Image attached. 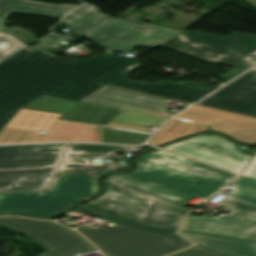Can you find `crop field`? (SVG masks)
Listing matches in <instances>:
<instances>
[{"label": "crop field", "mask_w": 256, "mask_h": 256, "mask_svg": "<svg viewBox=\"0 0 256 256\" xmlns=\"http://www.w3.org/2000/svg\"><path fill=\"white\" fill-rule=\"evenodd\" d=\"M236 146V143L226 138L202 134L162 148L240 174L252 157L238 152Z\"/></svg>", "instance_id": "11"}, {"label": "crop field", "mask_w": 256, "mask_h": 256, "mask_svg": "<svg viewBox=\"0 0 256 256\" xmlns=\"http://www.w3.org/2000/svg\"><path fill=\"white\" fill-rule=\"evenodd\" d=\"M175 119L205 126L177 125L174 127L175 125L166 124L149 143L157 145L197 131L209 130V126H212V130L222 131L243 143H256V118L194 105Z\"/></svg>", "instance_id": "8"}, {"label": "crop field", "mask_w": 256, "mask_h": 256, "mask_svg": "<svg viewBox=\"0 0 256 256\" xmlns=\"http://www.w3.org/2000/svg\"><path fill=\"white\" fill-rule=\"evenodd\" d=\"M124 168L116 163H104L103 160L102 163H92V160L64 159L57 173L101 174Z\"/></svg>", "instance_id": "18"}, {"label": "crop field", "mask_w": 256, "mask_h": 256, "mask_svg": "<svg viewBox=\"0 0 256 256\" xmlns=\"http://www.w3.org/2000/svg\"><path fill=\"white\" fill-rule=\"evenodd\" d=\"M92 5L85 3L84 6L80 7L79 9L75 10L74 12H72L70 15H68L67 17H65L64 19H62L63 21H67L70 22L73 19L77 18L78 16H80L81 14H83L84 12H86L87 10L91 9Z\"/></svg>", "instance_id": "25"}, {"label": "crop field", "mask_w": 256, "mask_h": 256, "mask_svg": "<svg viewBox=\"0 0 256 256\" xmlns=\"http://www.w3.org/2000/svg\"><path fill=\"white\" fill-rule=\"evenodd\" d=\"M198 244L236 256H256V242L181 232Z\"/></svg>", "instance_id": "16"}, {"label": "crop field", "mask_w": 256, "mask_h": 256, "mask_svg": "<svg viewBox=\"0 0 256 256\" xmlns=\"http://www.w3.org/2000/svg\"><path fill=\"white\" fill-rule=\"evenodd\" d=\"M249 2H251L252 4L256 5V0H248Z\"/></svg>", "instance_id": "28"}, {"label": "crop field", "mask_w": 256, "mask_h": 256, "mask_svg": "<svg viewBox=\"0 0 256 256\" xmlns=\"http://www.w3.org/2000/svg\"><path fill=\"white\" fill-rule=\"evenodd\" d=\"M234 177L157 150L141 157L134 172L107 178V192L90 204L143 223L178 229L191 209L186 208L188 201L195 197L205 199ZM195 182L202 186L195 185Z\"/></svg>", "instance_id": "2"}, {"label": "crop field", "mask_w": 256, "mask_h": 256, "mask_svg": "<svg viewBox=\"0 0 256 256\" xmlns=\"http://www.w3.org/2000/svg\"><path fill=\"white\" fill-rule=\"evenodd\" d=\"M107 256H163L190 244L123 225L109 228H76Z\"/></svg>", "instance_id": "7"}, {"label": "crop field", "mask_w": 256, "mask_h": 256, "mask_svg": "<svg viewBox=\"0 0 256 256\" xmlns=\"http://www.w3.org/2000/svg\"><path fill=\"white\" fill-rule=\"evenodd\" d=\"M145 146L143 147H134L133 149H131L129 152L136 154L137 152H139L141 149H143Z\"/></svg>", "instance_id": "27"}, {"label": "crop field", "mask_w": 256, "mask_h": 256, "mask_svg": "<svg viewBox=\"0 0 256 256\" xmlns=\"http://www.w3.org/2000/svg\"><path fill=\"white\" fill-rule=\"evenodd\" d=\"M3 45H5L7 47L5 49L1 48ZM22 46H24V45H22L15 39L11 38L4 32H2V31L0 32V60L7 57L8 55L13 53L17 49L21 48Z\"/></svg>", "instance_id": "22"}, {"label": "crop field", "mask_w": 256, "mask_h": 256, "mask_svg": "<svg viewBox=\"0 0 256 256\" xmlns=\"http://www.w3.org/2000/svg\"><path fill=\"white\" fill-rule=\"evenodd\" d=\"M78 6L46 4L30 0H0V31L11 13L62 18Z\"/></svg>", "instance_id": "15"}, {"label": "crop field", "mask_w": 256, "mask_h": 256, "mask_svg": "<svg viewBox=\"0 0 256 256\" xmlns=\"http://www.w3.org/2000/svg\"><path fill=\"white\" fill-rule=\"evenodd\" d=\"M170 256H232L218 251L202 248L199 246L175 253Z\"/></svg>", "instance_id": "23"}, {"label": "crop field", "mask_w": 256, "mask_h": 256, "mask_svg": "<svg viewBox=\"0 0 256 256\" xmlns=\"http://www.w3.org/2000/svg\"><path fill=\"white\" fill-rule=\"evenodd\" d=\"M163 46L205 62L236 66L222 75V78H233L256 64V58L247 56L256 50V36L251 35L232 33L229 37H223L202 32H184Z\"/></svg>", "instance_id": "6"}, {"label": "crop field", "mask_w": 256, "mask_h": 256, "mask_svg": "<svg viewBox=\"0 0 256 256\" xmlns=\"http://www.w3.org/2000/svg\"><path fill=\"white\" fill-rule=\"evenodd\" d=\"M137 66V61L113 52L65 61L26 47L0 64V130L43 94L78 102L118 71Z\"/></svg>", "instance_id": "3"}, {"label": "crop field", "mask_w": 256, "mask_h": 256, "mask_svg": "<svg viewBox=\"0 0 256 256\" xmlns=\"http://www.w3.org/2000/svg\"><path fill=\"white\" fill-rule=\"evenodd\" d=\"M216 194H218V193H216ZM216 194H214L213 196H215ZM213 196H212V197H213ZM212 197H210L209 199H211ZM209 199H208V200H209Z\"/></svg>", "instance_id": "29"}, {"label": "crop field", "mask_w": 256, "mask_h": 256, "mask_svg": "<svg viewBox=\"0 0 256 256\" xmlns=\"http://www.w3.org/2000/svg\"><path fill=\"white\" fill-rule=\"evenodd\" d=\"M180 31L115 18L87 38L111 50L128 52L136 46L156 47Z\"/></svg>", "instance_id": "10"}, {"label": "crop field", "mask_w": 256, "mask_h": 256, "mask_svg": "<svg viewBox=\"0 0 256 256\" xmlns=\"http://www.w3.org/2000/svg\"><path fill=\"white\" fill-rule=\"evenodd\" d=\"M59 36H60V35H57V36H48V37H46L45 39H43V40L41 41V43L35 44L32 48L37 49V50H39V51H41V52H44V53H46V54H49V55L54 56L53 54L47 52V50L54 46V45H51L50 43H51L52 41H54L56 38H58Z\"/></svg>", "instance_id": "24"}, {"label": "crop field", "mask_w": 256, "mask_h": 256, "mask_svg": "<svg viewBox=\"0 0 256 256\" xmlns=\"http://www.w3.org/2000/svg\"><path fill=\"white\" fill-rule=\"evenodd\" d=\"M243 176H246V177L256 180V158L251 163V165L248 167V169L244 172Z\"/></svg>", "instance_id": "26"}, {"label": "crop field", "mask_w": 256, "mask_h": 256, "mask_svg": "<svg viewBox=\"0 0 256 256\" xmlns=\"http://www.w3.org/2000/svg\"><path fill=\"white\" fill-rule=\"evenodd\" d=\"M98 176L61 174L49 192L0 194V212L55 215L84 197L97 194Z\"/></svg>", "instance_id": "5"}, {"label": "crop field", "mask_w": 256, "mask_h": 256, "mask_svg": "<svg viewBox=\"0 0 256 256\" xmlns=\"http://www.w3.org/2000/svg\"><path fill=\"white\" fill-rule=\"evenodd\" d=\"M131 147L69 144L64 157L108 159L113 152Z\"/></svg>", "instance_id": "19"}, {"label": "crop field", "mask_w": 256, "mask_h": 256, "mask_svg": "<svg viewBox=\"0 0 256 256\" xmlns=\"http://www.w3.org/2000/svg\"><path fill=\"white\" fill-rule=\"evenodd\" d=\"M231 184L239 187L234 193H219L256 205V181L241 176Z\"/></svg>", "instance_id": "21"}, {"label": "crop field", "mask_w": 256, "mask_h": 256, "mask_svg": "<svg viewBox=\"0 0 256 256\" xmlns=\"http://www.w3.org/2000/svg\"><path fill=\"white\" fill-rule=\"evenodd\" d=\"M75 212L84 213V214H87V215H91V216H94V217L106 219V220H109V221H112V222L120 223V224H123V225H127V226H130V227L141 229V230H144V231L160 234V235H163V236H166V237H169V238H173V239H176V240H180V241H183V242L191 243V242L187 241L186 239L178 236L176 231L169 230V229L154 228V227L142 224V223H138V222H135V221L119 218V217L115 216L112 212L95 209L91 206L83 205V206L79 207L78 209H76Z\"/></svg>", "instance_id": "17"}, {"label": "crop field", "mask_w": 256, "mask_h": 256, "mask_svg": "<svg viewBox=\"0 0 256 256\" xmlns=\"http://www.w3.org/2000/svg\"><path fill=\"white\" fill-rule=\"evenodd\" d=\"M98 9L99 8L96 7L92 8L77 19L70 22L68 27L82 35L87 36L114 18L98 12Z\"/></svg>", "instance_id": "20"}, {"label": "crop field", "mask_w": 256, "mask_h": 256, "mask_svg": "<svg viewBox=\"0 0 256 256\" xmlns=\"http://www.w3.org/2000/svg\"><path fill=\"white\" fill-rule=\"evenodd\" d=\"M65 146H0V193L48 191Z\"/></svg>", "instance_id": "4"}, {"label": "crop field", "mask_w": 256, "mask_h": 256, "mask_svg": "<svg viewBox=\"0 0 256 256\" xmlns=\"http://www.w3.org/2000/svg\"><path fill=\"white\" fill-rule=\"evenodd\" d=\"M130 70L129 68L124 69L103 84L184 102H195L218 88V86L200 83L171 84L158 82L151 85L143 82H131L124 78Z\"/></svg>", "instance_id": "14"}, {"label": "crop field", "mask_w": 256, "mask_h": 256, "mask_svg": "<svg viewBox=\"0 0 256 256\" xmlns=\"http://www.w3.org/2000/svg\"><path fill=\"white\" fill-rule=\"evenodd\" d=\"M219 202L232 211L230 215L189 216L181 230L256 240V206L227 196Z\"/></svg>", "instance_id": "12"}, {"label": "crop field", "mask_w": 256, "mask_h": 256, "mask_svg": "<svg viewBox=\"0 0 256 256\" xmlns=\"http://www.w3.org/2000/svg\"><path fill=\"white\" fill-rule=\"evenodd\" d=\"M197 105L256 117V70L252 69Z\"/></svg>", "instance_id": "13"}, {"label": "crop field", "mask_w": 256, "mask_h": 256, "mask_svg": "<svg viewBox=\"0 0 256 256\" xmlns=\"http://www.w3.org/2000/svg\"><path fill=\"white\" fill-rule=\"evenodd\" d=\"M0 225L18 230L44 247L47 251L40 256H75L96 249L89 241L74 230L50 221L18 217H2Z\"/></svg>", "instance_id": "9"}, {"label": "crop field", "mask_w": 256, "mask_h": 256, "mask_svg": "<svg viewBox=\"0 0 256 256\" xmlns=\"http://www.w3.org/2000/svg\"><path fill=\"white\" fill-rule=\"evenodd\" d=\"M65 115L20 109L0 131V144L77 141L140 144L173 114L165 99L105 86ZM48 130L47 134L39 133Z\"/></svg>", "instance_id": "1"}]
</instances>
